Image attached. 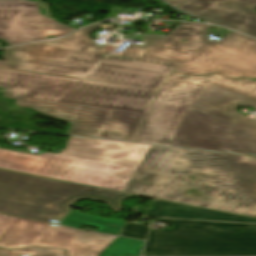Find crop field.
Returning <instances> with one entry per match:
<instances>
[{
  "label": "crop field",
  "mask_w": 256,
  "mask_h": 256,
  "mask_svg": "<svg viewBox=\"0 0 256 256\" xmlns=\"http://www.w3.org/2000/svg\"><path fill=\"white\" fill-rule=\"evenodd\" d=\"M92 25L66 38L6 49L0 62L4 97L47 116L73 122L70 135L133 141L157 92L179 64L142 58L165 36L131 35L120 57L99 46Z\"/></svg>",
  "instance_id": "crop-field-1"
},
{
  "label": "crop field",
  "mask_w": 256,
  "mask_h": 256,
  "mask_svg": "<svg viewBox=\"0 0 256 256\" xmlns=\"http://www.w3.org/2000/svg\"><path fill=\"white\" fill-rule=\"evenodd\" d=\"M123 192L256 218V157L150 146Z\"/></svg>",
  "instance_id": "crop-field-2"
},
{
  "label": "crop field",
  "mask_w": 256,
  "mask_h": 256,
  "mask_svg": "<svg viewBox=\"0 0 256 256\" xmlns=\"http://www.w3.org/2000/svg\"><path fill=\"white\" fill-rule=\"evenodd\" d=\"M149 146L71 137L59 154L0 149V169L121 191Z\"/></svg>",
  "instance_id": "crop-field-3"
},
{
  "label": "crop field",
  "mask_w": 256,
  "mask_h": 256,
  "mask_svg": "<svg viewBox=\"0 0 256 256\" xmlns=\"http://www.w3.org/2000/svg\"><path fill=\"white\" fill-rule=\"evenodd\" d=\"M238 106L256 108V100L210 84L189 106L172 145L256 154V120Z\"/></svg>",
  "instance_id": "crop-field-4"
},
{
  "label": "crop field",
  "mask_w": 256,
  "mask_h": 256,
  "mask_svg": "<svg viewBox=\"0 0 256 256\" xmlns=\"http://www.w3.org/2000/svg\"><path fill=\"white\" fill-rule=\"evenodd\" d=\"M208 27L180 23L144 57L179 62L175 71L189 75L219 72L231 78H256V40L236 32L220 41L208 40Z\"/></svg>",
  "instance_id": "crop-field-5"
},
{
  "label": "crop field",
  "mask_w": 256,
  "mask_h": 256,
  "mask_svg": "<svg viewBox=\"0 0 256 256\" xmlns=\"http://www.w3.org/2000/svg\"><path fill=\"white\" fill-rule=\"evenodd\" d=\"M115 191L0 170V212L47 221L61 219L81 198L104 201L116 212L129 197Z\"/></svg>",
  "instance_id": "crop-field-6"
},
{
  "label": "crop field",
  "mask_w": 256,
  "mask_h": 256,
  "mask_svg": "<svg viewBox=\"0 0 256 256\" xmlns=\"http://www.w3.org/2000/svg\"><path fill=\"white\" fill-rule=\"evenodd\" d=\"M172 224L151 230L142 256H256V225L156 219Z\"/></svg>",
  "instance_id": "crop-field-7"
},
{
  "label": "crop field",
  "mask_w": 256,
  "mask_h": 256,
  "mask_svg": "<svg viewBox=\"0 0 256 256\" xmlns=\"http://www.w3.org/2000/svg\"><path fill=\"white\" fill-rule=\"evenodd\" d=\"M256 99V81L218 74L187 77L172 73L163 83L134 141L170 145L187 107L209 84Z\"/></svg>",
  "instance_id": "crop-field-8"
},
{
  "label": "crop field",
  "mask_w": 256,
  "mask_h": 256,
  "mask_svg": "<svg viewBox=\"0 0 256 256\" xmlns=\"http://www.w3.org/2000/svg\"><path fill=\"white\" fill-rule=\"evenodd\" d=\"M115 239L0 214V247L5 249L40 245L67 249L69 256H98Z\"/></svg>",
  "instance_id": "crop-field-9"
},
{
  "label": "crop field",
  "mask_w": 256,
  "mask_h": 256,
  "mask_svg": "<svg viewBox=\"0 0 256 256\" xmlns=\"http://www.w3.org/2000/svg\"><path fill=\"white\" fill-rule=\"evenodd\" d=\"M74 29L40 15L37 4L26 0H0V39L14 45L60 37Z\"/></svg>",
  "instance_id": "crop-field-10"
},
{
  "label": "crop field",
  "mask_w": 256,
  "mask_h": 256,
  "mask_svg": "<svg viewBox=\"0 0 256 256\" xmlns=\"http://www.w3.org/2000/svg\"><path fill=\"white\" fill-rule=\"evenodd\" d=\"M248 6H251L250 8ZM256 0H189L177 9L208 22L256 37Z\"/></svg>",
  "instance_id": "crop-field-11"
},
{
  "label": "crop field",
  "mask_w": 256,
  "mask_h": 256,
  "mask_svg": "<svg viewBox=\"0 0 256 256\" xmlns=\"http://www.w3.org/2000/svg\"><path fill=\"white\" fill-rule=\"evenodd\" d=\"M151 209L136 207L135 213L146 217H173L201 220H215L228 222L256 223V219L236 216L190 205L153 199Z\"/></svg>",
  "instance_id": "crop-field-12"
},
{
  "label": "crop field",
  "mask_w": 256,
  "mask_h": 256,
  "mask_svg": "<svg viewBox=\"0 0 256 256\" xmlns=\"http://www.w3.org/2000/svg\"><path fill=\"white\" fill-rule=\"evenodd\" d=\"M79 223H84L83 225L96 227L98 228L96 230L97 232L115 235H119L125 224L122 221L92 217L80 212L70 213L61 224L80 228L83 225H80Z\"/></svg>",
  "instance_id": "crop-field-13"
},
{
  "label": "crop field",
  "mask_w": 256,
  "mask_h": 256,
  "mask_svg": "<svg viewBox=\"0 0 256 256\" xmlns=\"http://www.w3.org/2000/svg\"><path fill=\"white\" fill-rule=\"evenodd\" d=\"M144 241L117 237L99 256H139Z\"/></svg>",
  "instance_id": "crop-field-14"
},
{
  "label": "crop field",
  "mask_w": 256,
  "mask_h": 256,
  "mask_svg": "<svg viewBox=\"0 0 256 256\" xmlns=\"http://www.w3.org/2000/svg\"><path fill=\"white\" fill-rule=\"evenodd\" d=\"M20 254H30L31 256H66L64 251L46 248H27L15 251L0 250V256H20Z\"/></svg>",
  "instance_id": "crop-field-15"
},
{
  "label": "crop field",
  "mask_w": 256,
  "mask_h": 256,
  "mask_svg": "<svg viewBox=\"0 0 256 256\" xmlns=\"http://www.w3.org/2000/svg\"><path fill=\"white\" fill-rule=\"evenodd\" d=\"M149 227L126 222L120 236L146 240Z\"/></svg>",
  "instance_id": "crop-field-16"
},
{
  "label": "crop field",
  "mask_w": 256,
  "mask_h": 256,
  "mask_svg": "<svg viewBox=\"0 0 256 256\" xmlns=\"http://www.w3.org/2000/svg\"><path fill=\"white\" fill-rule=\"evenodd\" d=\"M164 1L168 2L173 7H176L180 4H182L183 2H185L186 0H164Z\"/></svg>",
  "instance_id": "crop-field-17"
},
{
  "label": "crop field",
  "mask_w": 256,
  "mask_h": 256,
  "mask_svg": "<svg viewBox=\"0 0 256 256\" xmlns=\"http://www.w3.org/2000/svg\"><path fill=\"white\" fill-rule=\"evenodd\" d=\"M237 1L241 2V1H243V0H237Z\"/></svg>",
  "instance_id": "crop-field-18"
}]
</instances>
